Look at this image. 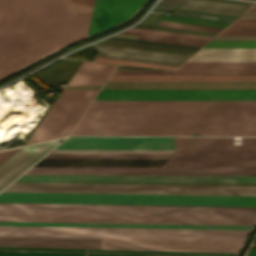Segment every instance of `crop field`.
Returning <instances> with one entry per match:
<instances>
[{
	"mask_svg": "<svg viewBox=\"0 0 256 256\" xmlns=\"http://www.w3.org/2000/svg\"><path fill=\"white\" fill-rule=\"evenodd\" d=\"M239 18H256V11H246L245 14L241 15Z\"/></svg>",
	"mask_w": 256,
	"mask_h": 256,
	"instance_id": "028f5c9d",
	"label": "crop field"
},
{
	"mask_svg": "<svg viewBox=\"0 0 256 256\" xmlns=\"http://www.w3.org/2000/svg\"><path fill=\"white\" fill-rule=\"evenodd\" d=\"M213 40H256V36H217Z\"/></svg>",
	"mask_w": 256,
	"mask_h": 256,
	"instance_id": "1d83c4d3",
	"label": "crop field"
},
{
	"mask_svg": "<svg viewBox=\"0 0 256 256\" xmlns=\"http://www.w3.org/2000/svg\"><path fill=\"white\" fill-rule=\"evenodd\" d=\"M3 191L256 196V186L13 182ZM1 192L0 202L256 206V197ZM0 203L3 213L256 217V207Z\"/></svg>",
	"mask_w": 256,
	"mask_h": 256,
	"instance_id": "ac0d7876",
	"label": "crop field"
},
{
	"mask_svg": "<svg viewBox=\"0 0 256 256\" xmlns=\"http://www.w3.org/2000/svg\"><path fill=\"white\" fill-rule=\"evenodd\" d=\"M129 30L145 31V32L168 34V35L183 36V37L198 38V39H206V40H210L212 38V37H209V36L169 32V31H161V30H153V29H145V28H137V27H132Z\"/></svg>",
	"mask_w": 256,
	"mask_h": 256,
	"instance_id": "d3111659",
	"label": "crop field"
},
{
	"mask_svg": "<svg viewBox=\"0 0 256 256\" xmlns=\"http://www.w3.org/2000/svg\"><path fill=\"white\" fill-rule=\"evenodd\" d=\"M0 225L172 227V228H224V229H250V228H251V226H216V225L79 224V223H7V222H0Z\"/></svg>",
	"mask_w": 256,
	"mask_h": 256,
	"instance_id": "4177f3b9",
	"label": "crop field"
},
{
	"mask_svg": "<svg viewBox=\"0 0 256 256\" xmlns=\"http://www.w3.org/2000/svg\"><path fill=\"white\" fill-rule=\"evenodd\" d=\"M99 57H103V58H114V59H124V60H132V61H141V62H149V63H157V64H166V65L179 66L178 64H170V63H163V62H155V61H148V60H140V59L126 58V57H118V56H111V55H103V54H100Z\"/></svg>",
	"mask_w": 256,
	"mask_h": 256,
	"instance_id": "bd1437ed",
	"label": "crop field"
},
{
	"mask_svg": "<svg viewBox=\"0 0 256 256\" xmlns=\"http://www.w3.org/2000/svg\"><path fill=\"white\" fill-rule=\"evenodd\" d=\"M175 149L256 150V138H242V145H233L232 137H175Z\"/></svg>",
	"mask_w": 256,
	"mask_h": 256,
	"instance_id": "733c2abd",
	"label": "crop field"
},
{
	"mask_svg": "<svg viewBox=\"0 0 256 256\" xmlns=\"http://www.w3.org/2000/svg\"><path fill=\"white\" fill-rule=\"evenodd\" d=\"M245 256H256V238L253 241L252 245L250 246Z\"/></svg>",
	"mask_w": 256,
	"mask_h": 256,
	"instance_id": "d32e631a",
	"label": "crop field"
},
{
	"mask_svg": "<svg viewBox=\"0 0 256 256\" xmlns=\"http://www.w3.org/2000/svg\"><path fill=\"white\" fill-rule=\"evenodd\" d=\"M115 67L83 61L67 85H103Z\"/></svg>",
	"mask_w": 256,
	"mask_h": 256,
	"instance_id": "214f88e0",
	"label": "crop field"
},
{
	"mask_svg": "<svg viewBox=\"0 0 256 256\" xmlns=\"http://www.w3.org/2000/svg\"><path fill=\"white\" fill-rule=\"evenodd\" d=\"M164 166L256 167V151L179 150Z\"/></svg>",
	"mask_w": 256,
	"mask_h": 256,
	"instance_id": "28ad6ade",
	"label": "crop field"
},
{
	"mask_svg": "<svg viewBox=\"0 0 256 256\" xmlns=\"http://www.w3.org/2000/svg\"><path fill=\"white\" fill-rule=\"evenodd\" d=\"M54 149H174V137H68Z\"/></svg>",
	"mask_w": 256,
	"mask_h": 256,
	"instance_id": "d1516ede",
	"label": "crop field"
},
{
	"mask_svg": "<svg viewBox=\"0 0 256 256\" xmlns=\"http://www.w3.org/2000/svg\"><path fill=\"white\" fill-rule=\"evenodd\" d=\"M175 73H256V62H185ZM108 80L256 81V74H174V70H115Z\"/></svg>",
	"mask_w": 256,
	"mask_h": 256,
	"instance_id": "412701ff",
	"label": "crop field"
},
{
	"mask_svg": "<svg viewBox=\"0 0 256 256\" xmlns=\"http://www.w3.org/2000/svg\"><path fill=\"white\" fill-rule=\"evenodd\" d=\"M0 235L145 239V228L0 226Z\"/></svg>",
	"mask_w": 256,
	"mask_h": 256,
	"instance_id": "d8731c3e",
	"label": "crop field"
},
{
	"mask_svg": "<svg viewBox=\"0 0 256 256\" xmlns=\"http://www.w3.org/2000/svg\"><path fill=\"white\" fill-rule=\"evenodd\" d=\"M249 230L146 228V239L244 241Z\"/></svg>",
	"mask_w": 256,
	"mask_h": 256,
	"instance_id": "22f410ed",
	"label": "crop field"
},
{
	"mask_svg": "<svg viewBox=\"0 0 256 256\" xmlns=\"http://www.w3.org/2000/svg\"><path fill=\"white\" fill-rule=\"evenodd\" d=\"M0 249H34V250H68V251H84V249H61V248H25V247H0ZM34 250H0V251H32V252H66V253H83L85 252H68V251H34ZM87 251H101V252H131V253H161V254H191V255H221V256H235L236 254H219V253H185V252H151V251H117V250H91ZM32 252H0V253H31V254H66V253H32ZM66 255H82V254H66ZM86 255H104V256H160V255H131V254H101V253H87ZM190 255V256H191Z\"/></svg>",
	"mask_w": 256,
	"mask_h": 256,
	"instance_id": "dafd665d",
	"label": "crop field"
},
{
	"mask_svg": "<svg viewBox=\"0 0 256 256\" xmlns=\"http://www.w3.org/2000/svg\"><path fill=\"white\" fill-rule=\"evenodd\" d=\"M242 242L101 239V249L237 253Z\"/></svg>",
	"mask_w": 256,
	"mask_h": 256,
	"instance_id": "5a996713",
	"label": "crop field"
},
{
	"mask_svg": "<svg viewBox=\"0 0 256 256\" xmlns=\"http://www.w3.org/2000/svg\"><path fill=\"white\" fill-rule=\"evenodd\" d=\"M0 246L100 249V239L0 236Z\"/></svg>",
	"mask_w": 256,
	"mask_h": 256,
	"instance_id": "d9b57169",
	"label": "crop field"
},
{
	"mask_svg": "<svg viewBox=\"0 0 256 256\" xmlns=\"http://www.w3.org/2000/svg\"><path fill=\"white\" fill-rule=\"evenodd\" d=\"M96 61L109 62V63H119V64H128V65H138V66H147V67H157V68H167V69H176L177 68V67H174V66H165V65H156V64H147V63H138V62H129V61L102 59V58H97Z\"/></svg>",
	"mask_w": 256,
	"mask_h": 256,
	"instance_id": "750c4746",
	"label": "crop field"
},
{
	"mask_svg": "<svg viewBox=\"0 0 256 256\" xmlns=\"http://www.w3.org/2000/svg\"><path fill=\"white\" fill-rule=\"evenodd\" d=\"M15 181L256 182V176L22 175Z\"/></svg>",
	"mask_w": 256,
	"mask_h": 256,
	"instance_id": "3316defc",
	"label": "crop field"
},
{
	"mask_svg": "<svg viewBox=\"0 0 256 256\" xmlns=\"http://www.w3.org/2000/svg\"><path fill=\"white\" fill-rule=\"evenodd\" d=\"M204 47H256V41H210Z\"/></svg>",
	"mask_w": 256,
	"mask_h": 256,
	"instance_id": "ae1a2a85",
	"label": "crop field"
},
{
	"mask_svg": "<svg viewBox=\"0 0 256 256\" xmlns=\"http://www.w3.org/2000/svg\"><path fill=\"white\" fill-rule=\"evenodd\" d=\"M161 1L183 4L181 8H184V9L210 11V12L227 13V14H235V15H240L250 7L247 5L212 2V1H204V0H161Z\"/></svg>",
	"mask_w": 256,
	"mask_h": 256,
	"instance_id": "a9b5d70f",
	"label": "crop field"
},
{
	"mask_svg": "<svg viewBox=\"0 0 256 256\" xmlns=\"http://www.w3.org/2000/svg\"><path fill=\"white\" fill-rule=\"evenodd\" d=\"M256 218L1 214L0 221L253 225Z\"/></svg>",
	"mask_w": 256,
	"mask_h": 256,
	"instance_id": "dd49c442",
	"label": "crop field"
},
{
	"mask_svg": "<svg viewBox=\"0 0 256 256\" xmlns=\"http://www.w3.org/2000/svg\"><path fill=\"white\" fill-rule=\"evenodd\" d=\"M187 61H256V48H201Z\"/></svg>",
	"mask_w": 256,
	"mask_h": 256,
	"instance_id": "bc2a9ffb",
	"label": "crop field"
},
{
	"mask_svg": "<svg viewBox=\"0 0 256 256\" xmlns=\"http://www.w3.org/2000/svg\"><path fill=\"white\" fill-rule=\"evenodd\" d=\"M161 20L174 21V22H183V23H193V24H202V25H211V26H220V27H225L229 24L228 22L212 21V20L189 18V17L166 15V14L162 15ZM165 21H160L159 26L171 27V28H180V29H189V30H197V31H206V32H214V33H219L223 29V28H220V27L192 25V24L165 22Z\"/></svg>",
	"mask_w": 256,
	"mask_h": 256,
	"instance_id": "00972430",
	"label": "crop field"
},
{
	"mask_svg": "<svg viewBox=\"0 0 256 256\" xmlns=\"http://www.w3.org/2000/svg\"><path fill=\"white\" fill-rule=\"evenodd\" d=\"M122 33H129V34L139 35V37H138L139 39L162 41V42H171V43H180V44H188V45H197V46H202L206 42H208L206 40L190 39V38L167 36V35L152 34V33L137 32V31H129V30H124V31H122Z\"/></svg>",
	"mask_w": 256,
	"mask_h": 256,
	"instance_id": "730fd06b",
	"label": "crop field"
},
{
	"mask_svg": "<svg viewBox=\"0 0 256 256\" xmlns=\"http://www.w3.org/2000/svg\"><path fill=\"white\" fill-rule=\"evenodd\" d=\"M145 0H0V78L128 19ZM143 5V4H142Z\"/></svg>",
	"mask_w": 256,
	"mask_h": 256,
	"instance_id": "34b2d1b8",
	"label": "crop field"
},
{
	"mask_svg": "<svg viewBox=\"0 0 256 256\" xmlns=\"http://www.w3.org/2000/svg\"><path fill=\"white\" fill-rule=\"evenodd\" d=\"M178 150H52L44 158H171Z\"/></svg>",
	"mask_w": 256,
	"mask_h": 256,
	"instance_id": "5142ce71",
	"label": "crop field"
},
{
	"mask_svg": "<svg viewBox=\"0 0 256 256\" xmlns=\"http://www.w3.org/2000/svg\"><path fill=\"white\" fill-rule=\"evenodd\" d=\"M95 45L103 51V52H101L103 54L141 58V59L178 63V64H182L184 61H186L189 58L187 56L149 52V51L112 47V46H105V45H97V44H95Z\"/></svg>",
	"mask_w": 256,
	"mask_h": 256,
	"instance_id": "92a150f3",
	"label": "crop field"
},
{
	"mask_svg": "<svg viewBox=\"0 0 256 256\" xmlns=\"http://www.w3.org/2000/svg\"><path fill=\"white\" fill-rule=\"evenodd\" d=\"M95 100H256V90H101ZM251 135L256 101H93L71 135Z\"/></svg>",
	"mask_w": 256,
	"mask_h": 256,
	"instance_id": "8a807250",
	"label": "crop field"
},
{
	"mask_svg": "<svg viewBox=\"0 0 256 256\" xmlns=\"http://www.w3.org/2000/svg\"><path fill=\"white\" fill-rule=\"evenodd\" d=\"M64 139V138H62ZM62 139L23 147L0 166V191Z\"/></svg>",
	"mask_w": 256,
	"mask_h": 256,
	"instance_id": "cbeb9de0",
	"label": "crop field"
},
{
	"mask_svg": "<svg viewBox=\"0 0 256 256\" xmlns=\"http://www.w3.org/2000/svg\"><path fill=\"white\" fill-rule=\"evenodd\" d=\"M24 174L256 175V168L32 167Z\"/></svg>",
	"mask_w": 256,
	"mask_h": 256,
	"instance_id": "e52e79f7",
	"label": "crop field"
},
{
	"mask_svg": "<svg viewBox=\"0 0 256 256\" xmlns=\"http://www.w3.org/2000/svg\"><path fill=\"white\" fill-rule=\"evenodd\" d=\"M248 10H256V3L251 8H249Z\"/></svg>",
	"mask_w": 256,
	"mask_h": 256,
	"instance_id": "e1f06a70",
	"label": "crop field"
},
{
	"mask_svg": "<svg viewBox=\"0 0 256 256\" xmlns=\"http://www.w3.org/2000/svg\"><path fill=\"white\" fill-rule=\"evenodd\" d=\"M99 90H63L27 144L67 136Z\"/></svg>",
	"mask_w": 256,
	"mask_h": 256,
	"instance_id": "f4fd0767",
	"label": "crop field"
},
{
	"mask_svg": "<svg viewBox=\"0 0 256 256\" xmlns=\"http://www.w3.org/2000/svg\"><path fill=\"white\" fill-rule=\"evenodd\" d=\"M0 256H65V255L0 254Z\"/></svg>",
	"mask_w": 256,
	"mask_h": 256,
	"instance_id": "5866460e",
	"label": "crop field"
},
{
	"mask_svg": "<svg viewBox=\"0 0 256 256\" xmlns=\"http://www.w3.org/2000/svg\"><path fill=\"white\" fill-rule=\"evenodd\" d=\"M219 35H256V19H236Z\"/></svg>",
	"mask_w": 256,
	"mask_h": 256,
	"instance_id": "eef30255",
	"label": "crop field"
},
{
	"mask_svg": "<svg viewBox=\"0 0 256 256\" xmlns=\"http://www.w3.org/2000/svg\"><path fill=\"white\" fill-rule=\"evenodd\" d=\"M168 159H42L34 166H163Z\"/></svg>",
	"mask_w": 256,
	"mask_h": 256,
	"instance_id": "4a817a6b",
	"label": "crop field"
},
{
	"mask_svg": "<svg viewBox=\"0 0 256 256\" xmlns=\"http://www.w3.org/2000/svg\"><path fill=\"white\" fill-rule=\"evenodd\" d=\"M22 148V147H21ZM20 148L10 149L0 151V165L6 161L9 157H11L15 152H17Z\"/></svg>",
	"mask_w": 256,
	"mask_h": 256,
	"instance_id": "120bbe31",
	"label": "crop field"
}]
</instances>
